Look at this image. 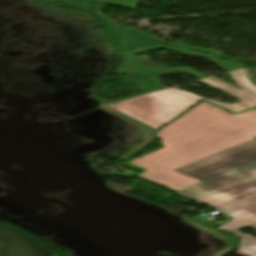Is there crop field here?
Returning <instances> with one entry per match:
<instances>
[{
	"instance_id": "8a807250",
	"label": "crop field",
	"mask_w": 256,
	"mask_h": 256,
	"mask_svg": "<svg viewBox=\"0 0 256 256\" xmlns=\"http://www.w3.org/2000/svg\"><path fill=\"white\" fill-rule=\"evenodd\" d=\"M165 147L129 163L148 171L136 176L179 191L202 181L177 171L256 137V110L231 115L201 103L157 133Z\"/></svg>"
},
{
	"instance_id": "ac0d7876",
	"label": "crop field",
	"mask_w": 256,
	"mask_h": 256,
	"mask_svg": "<svg viewBox=\"0 0 256 256\" xmlns=\"http://www.w3.org/2000/svg\"><path fill=\"white\" fill-rule=\"evenodd\" d=\"M230 74L243 90H238L234 86L212 77L200 80L256 107V86L247 79L244 69L230 71ZM202 99L219 105L233 113L246 110L238 106L210 101L191 92L173 88L120 100L106 106L156 130Z\"/></svg>"
},
{
	"instance_id": "34b2d1b8",
	"label": "crop field",
	"mask_w": 256,
	"mask_h": 256,
	"mask_svg": "<svg viewBox=\"0 0 256 256\" xmlns=\"http://www.w3.org/2000/svg\"><path fill=\"white\" fill-rule=\"evenodd\" d=\"M255 161L256 140H253L177 171L205 181Z\"/></svg>"
},
{
	"instance_id": "412701ff",
	"label": "crop field",
	"mask_w": 256,
	"mask_h": 256,
	"mask_svg": "<svg viewBox=\"0 0 256 256\" xmlns=\"http://www.w3.org/2000/svg\"><path fill=\"white\" fill-rule=\"evenodd\" d=\"M81 1H86V0H60V2L67 3V4H72V3L81 2ZM47 2L50 4L56 5L58 1L47 0ZM97 4L99 3H97L96 1H91V2H85L80 4H74V6L83 8V7H88V6L97 5ZM105 8L106 7L101 5L98 7H93V8L84 9V10L96 15L105 27L117 25L115 22H113L112 20H110L109 18H107L106 16H104L99 12ZM107 29L113 35L115 39V44L117 45L120 51L165 42V40L163 39L147 35L139 30L129 28L126 26H113V27H108Z\"/></svg>"
},
{
	"instance_id": "f4fd0767",
	"label": "crop field",
	"mask_w": 256,
	"mask_h": 256,
	"mask_svg": "<svg viewBox=\"0 0 256 256\" xmlns=\"http://www.w3.org/2000/svg\"><path fill=\"white\" fill-rule=\"evenodd\" d=\"M196 200L221 212L256 201V178Z\"/></svg>"
},
{
	"instance_id": "dd49c442",
	"label": "crop field",
	"mask_w": 256,
	"mask_h": 256,
	"mask_svg": "<svg viewBox=\"0 0 256 256\" xmlns=\"http://www.w3.org/2000/svg\"><path fill=\"white\" fill-rule=\"evenodd\" d=\"M254 177H256V162L177 193L190 199H196Z\"/></svg>"
},
{
	"instance_id": "e52e79f7",
	"label": "crop field",
	"mask_w": 256,
	"mask_h": 256,
	"mask_svg": "<svg viewBox=\"0 0 256 256\" xmlns=\"http://www.w3.org/2000/svg\"><path fill=\"white\" fill-rule=\"evenodd\" d=\"M233 217L229 223L220 228L227 231H235L240 228L256 224V203L225 213Z\"/></svg>"
},
{
	"instance_id": "d8731c3e",
	"label": "crop field",
	"mask_w": 256,
	"mask_h": 256,
	"mask_svg": "<svg viewBox=\"0 0 256 256\" xmlns=\"http://www.w3.org/2000/svg\"><path fill=\"white\" fill-rule=\"evenodd\" d=\"M256 231V225L252 226ZM237 238L241 239L239 250L230 253L228 256H256V238L243 234L239 231L232 232Z\"/></svg>"
},
{
	"instance_id": "5a996713",
	"label": "crop field",
	"mask_w": 256,
	"mask_h": 256,
	"mask_svg": "<svg viewBox=\"0 0 256 256\" xmlns=\"http://www.w3.org/2000/svg\"><path fill=\"white\" fill-rule=\"evenodd\" d=\"M100 2L104 4H111L119 7H124L128 9L134 10L135 5L140 1V0H99Z\"/></svg>"
},
{
	"instance_id": "3316defc",
	"label": "crop field",
	"mask_w": 256,
	"mask_h": 256,
	"mask_svg": "<svg viewBox=\"0 0 256 256\" xmlns=\"http://www.w3.org/2000/svg\"><path fill=\"white\" fill-rule=\"evenodd\" d=\"M234 105H238V106H241V107H244V108H247V107L253 106V105H251V104H249V103H246V102H244V101H242V100H240V102H239V103L234 104Z\"/></svg>"
}]
</instances>
